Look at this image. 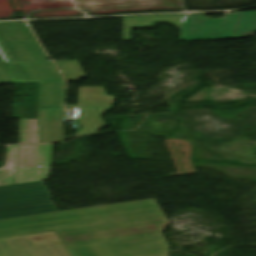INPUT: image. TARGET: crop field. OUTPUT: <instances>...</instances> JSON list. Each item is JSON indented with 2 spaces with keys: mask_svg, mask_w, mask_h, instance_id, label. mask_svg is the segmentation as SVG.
Instances as JSON below:
<instances>
[{
  "mask_svg": "<svg viewBox=\"0 0 256 256\" xmlns=\"http://www.w3.org/2000/svg\"><path fill=\"white\" fill-rule=\"evenodd\" d=\"M155 199L0 220V236L55 229L73 256H167Z\"/></svg>",
  "mask_w": 256,
  "mask_h": 256,
  "instance_id": "obj_1",
  "label": "crop field"
},
{
  "mask_svg": "<svg viewBox=\"0 0 256 256\" xmlns=\"http://www.w3.org/2000/svg\"><path fill=\"white\" fill-rule=\"evenodd\" d=\"M28 81H64L53 61H48L37 42H5ZM65 82L39 83V142L64 141L63 105Z\"/></svg>",
  "mask_w": 256,
  "mask_h": 256,
  "instance_id": "obj_2",
  "label": "crop field"
},
{
  "mask_svg": "<svg viewBox=\"0 0 256 256\" xmlns=\"http://www.w3.org/2000/svg\"><path fill=\"white\" fill-rule=\"evenodd\" d=\"M224 19H206L204 14L123 17V41H131V29L150 27L158 20L177 26L181 34L179 41L217 39Z\"/></svg>",
  "mask_w": 256,
  "mask_h": 256,
  "instance_id": "obj_3",
  "label": "crop field"
},
{
  "mask_svg": "<svg viewBox=\"0 0 256 256\" xmlns=\"http://www.w3.org/2000/svg\"><path fill=\"white\" fill-rule=\"evenodd\" d=\"M43 181L0 187V219L56 211Z\"/></svg>",
  "mask_w": 256,
  "mask_h": 256,
  "instance_id": "obj_4",
  "label": "crop field"
},
{
  "mask_svg": "<svg viewBox=\"0 0 256 256\" xmlns=\"http://www.w3.org/2000/svg\"><path fill=\"white\" fill-rule=\"evenodd\" d=\"M0 256H70L54 231L0 238Z\"/></svg>",
  "mask_w": 256,
  "mask_h": 256,
  "instance_id": "obj_5",
  "label": "crop field"
},
{
  "mask_svg": "<svg viewBox=\"0 0 256 256\" xmlns=\"http://www.w3.org/2000/svg\"><path fill=\"white\" fill-rule=\"evenodd\" d=\"M115 103L113 96H107L103 87H79V107L80 113L78 121L82 127L76 136L97 132L106 127L100 114H104Z\"/></svg>",
  "mask_w": 256,
  "mask_h": 256,
  "instance_id": "obj_6",
  "label": "crop field"
},
{
  "mask_svg": "<svg viewBox=\"0 0 256 256\" xmlns=\"http://www.w3.org/2000/svg\"><path fill=\"white\" fill-rule=\"evenodd\" d=\"M256 33V12L227 13L218 39L248 38Z\"/></svg>",
  "mask_w": 256,
  "mask_h": 256,
  "instance_id": "obj_7",
  "label": "crop field"
},
{
  "mask_svg": "<svg viewBox=\"0 0 256 256\" xmlns=\"http://www.w3.org/2000/svg\"><path fill=\"white\" fill-rule=\"evenodd\" d=\"M53 144L39 145L36 168L17 167L15 184L44 180L48 176ZM42 165V168H38Z\"/></svg>",
  "mask_w": 256,
  "mask_h": 256,
  "instance_id": "obj_8",
  "label": "crop field"
},
{
  "mask_svg": "<svg viewBox=\"0 0 256 256\" xmlns=\"http://www.w3.org/2000/svg\"><path fill=\"white\" fill-rule=\"evenodd\" d=\"M66 80L87 78L78 60L55 61Z\"/></svg>",
  "mask_w": 256,
  "mask_h": 256,
  "instance_id": "obj_9",
  "label": "crop field"
},
{
  "mask_svg": "<svg viewBox=\"0 0 256 256\" xmlns=\"http://www.w3.org/2000/svg\"><path fill=\"white\" fill-rule=\"evenodd\" d=\"M38 145H20L17 166L35 167Z\"/></svg>",
  "mask_w": 256,
  "mask_h": 256,
  "instance_id": "obj_10",
  "label": "crop field"
},
{
  "mask_svg": "<svg viewBox=\"0 0 256 256\" xmlns=\"http://www.w3.org/2000/svg\"><path fill=\"white\" fill-rule=\"evenodd\" d=\"M38 142L36 119H20V143Z\"/></svg>",
  "mask_w": 256,
  "mask_h": 256,
  "instance_id": "obj_11",
  "label": "crop field"
},
{
  "mask_svg": "<svg viewBox=\"0 0 256 256\" xmlns=\"http://www.w3.org/2000/svg\"><path fill=\"white\" fill-rule=\"evenodd\" d=\"M16 162H6L5 168H0V185L13 183Z\"/></svg>",
  "mask_w": 256,
  "mask_h": 256,
  "instance_id": "obj_12",
  "label": "crop field"
}]
</instances>
